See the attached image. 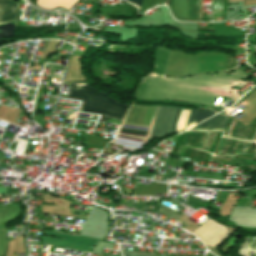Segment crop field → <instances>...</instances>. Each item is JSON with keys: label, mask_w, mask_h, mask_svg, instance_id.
Segmentation results:
<instances>
[{"label": "crop field", "mask_w": 256, "mask_h": 256, "mask_svg": "<svg viewBox=\"0 0 256 256\" xmlns=\"http://www.w3.org/2000/svg\"><path fill=\"white\" fill-rule=\"evenodd\" d=\"M68 87L77 88L75 98L82 100L81 111L102 114L101 121L107 118L122 121L128 107L113 99L105 92L89 87L87 82L70 83Z\"/></svg>", "instance_id": "obj_1"}, {"label": "crop field", "mask_w": 256, "mask_h": 256, "mask_svg": "<svg viewBox=\"0 0 256 256\" xmlns=\"http://www.w3.org/2000/svg\"><path fill=\"white\" fill-rule=\"evenodd\" d=\"M180 108L170 106H157L149 130L148 137L174 132L180 113Z\"/></svg>", "instance_id": "obj_2"}, {"label": "crop field", "mask_w": 256, "mask_h": 256, "mask_svg": "<svg viewBox=\"0 0 256 256\" xmlns=\"http://www.w3.org/2000/svg\"><path fill=\"white\" fill-rule=\"evenodd\" d=\"M44 234L64 238L67 240L52 239V238L43 236L42 238L43 245H52V246H57L61 248L74 249V250L83 251L87 253H89L91 248L100 241L99 239H94V238L81 236V235H67V234H61V233L49 232V231H45Z\"/></svg>", "instance_id": "obj_3"}, {"label": "crop field", "mask_w": 256, "mask_h": 256, "mask_svg": "<svg viewBox=\"0 0 256 256\" xmlns=\"http://www.w3.org/2000/svg\"><path fill=\"white\" fill-rule=\"evenodd\" d=\"M193 234L204 243L216 246L230 233L224 227L208 219Z\"/></svg>", "instance_id": "obj_4"}, {"label": "crop field", "mask_w": 256, "mask_h": 256, "mask_svg": "<svg viewBox=\"0 0 256 256\" xmlns=\"http://www.w3.org/2000/svg\"><path fill=\"white\" fill-rule=\"evenodd\" d=\"M226 124H227V116L220 114L190 130H203V131L224 130Z\"/></svg>", "instance_id": "obj_5"}, {"label": "crop field", "mask_w": 256, "mask_h": 256, "mask_svg": "<svg viewBox=\"0 0 256 256\" xmlns=\"http://www.w3.org/2000/svg\"><path fill=\"white\" fill-rule=\"evenodd\" d=\"M17 5L14 1L0 0V24L15 20Z\"/></svg>", "instance_id": "obj_6"}, {"label": "crop field", "mask_w": 256, "mask_h": 256, "mask_svg": "<svg viewBox=\"0 0 256 256\" xmlns=\"http://www.w3.org/2000/svg\"><path fill=\"white\" fill-rule=\"evenodd\" d=\"M77 0H36V4L40 7L55 9L63 7L67 10L76 3Z\"/></svg>", "instance_id": "obj_7"}, {"label": "crop field", "mask_w": 256, "mask_h": 256, "mask_svg": "<svg viewBox=\"0 0 256 256\" xmlns=\"http://www.w3.org/2000/svg\"><path fill=\"white\" fill-rule=\"evenodd\" d=\"M129 1H132V2L137 3L139 5L141 3V0H129ZM161 1L162 0H143L141 12H143V11H145V10L155 6V5L161 4Z\"/></svg>", "instance_id": "obj_8"}, {"label": "crop field", "mask_w": 256, "mask_h": 256, "mask_svg": "<svg viewBox=\"0 0 256 256\" xmlns=\"http://www.w3.org/2000/svg\"><path fill=\"white\" fill-rule=\"evenodd\" d=\"M212 115H214V113H212V112H196V111L192 110L190 116L202 121Z\"/></svg>", "instance_id": "obj_9"}, {"label": "crop field", "mask_w": 256, "mask_h": 256, "mask_svg": "<svg viewBox=\"0 0 256 256\" xmlns=\"http://www.w3.org/2000/svg\"><path fill=\"white\" fill-rule=\"evenodd\" d=\"M123 256H152L149 254H142V253H136V252H121Z\"/></svg>", "instance_id": "obj_10"}, {"label": "crop field", "mask_w": 256, "mask_h": 256, "mask_svg": "<svg viewBox=\"0 0 256 256\" xmlns=\"http://www.w3.org/2000/svg\"><path fill=\"white\" fill-rule=\"evenodd\" d=\"M230 256V255H229Z\"/></svg>", "instance_id": "obj_11"}]
</instances>
